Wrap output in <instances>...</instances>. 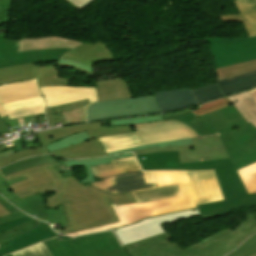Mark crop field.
Here are the masks:
<instances>
[{
    "label": "crop field",
    "instance_id": "8a807250",
    "mask_svg": "<svg viewBox=\"0 0 256 256\" xmlns=\"http://www.w3.org/2000/svg\"><path fill=\"white\" fill-rule=\"evenodd\" d=\"M143 170L215 169L225 200L199 205L198 209L161 215L113 230L131 256H223L256 233V214L182 249L163 225L199 215L208 219L226 212L256 205V194L248 195L230 159L180 164L178 151L136 156ZM144 158V160H142ZM136 243V245H135Z\"/></svg>",
    "mask_w": 256,
    "mask_h": 256
},
{
    "label": "crop field",
    "instance_id": "ac0d7876",
    "mask_svg": "<svg viewBox=\"0 0 256 256\" xmlns=\"http://www.w3.org/2000/svg\"><path fill=\"white\" fill-rule=\"evenodd\" d=\"M57 165L60 163L35 166L4 178L6 181L22 176L27 179L9 185L20 198L37 193L43 196L55 190L56 195L46 197V207L56 208L58 204H64L70 227L55 229L61 234L118 222L108 201L116 205L135 202L130 192L107 194L89 184L83 186L75 176L63 178L55 167Z\"/></svg>",
    "mask_w": 256,
    "mask_h": 256
},
{
    "label": "crop field",
    "instance_id": "34b2d1b8",
    "mask_svg": "<svg viewBox=\"0 0 256 256\" xmlns=\"http://www.w3.org/2000/svg\"><path fill=\"white\" fill-rule=\"evenodd\" d=\"M177 174L182 198L150 202L139 205L132 203L116 206L109 202L120 222L64 235L77 236L80 234L117 228L123 225L134 223L140 219L149 216L194 208L195 206L189 189L185 171H177Z\"/></svg>",
    "mask_w": 256,
    "mask_h": 256
},
{
    "label": "crop field",
    "instance_id": "412701ff",
    "mask_svg": "<svg viewBox=\"0 0 256 256\" xmlns=\"http://www.w3.org/2000/svg\"><path fill=\"white\" fill-rule=\"evenodd\" d=\"M17 52L45 48H73L61 58L94 67L98 62L114 60L112 52L102 42L83 43L57 36L15 40Z\"/></svg>",
    "mask_w": 256,
    "mask_h": 256
},
{
    "label": "crop field",
    "instance_id": "f4fd0767",
    "mask_svg": "<svg viewBox=\"0 0 256 256\" xmlns=\"http://www.w3.org/2000/svg\"><path fill=\"white\" fill-rule=\"evenodd\" d=\"M42 243L52 256H128L110 231Z\"/></svg>",
    "mask_w": 256,
    "mask_h": 256
},
{
    "label": "crop field",
    "instance_id": "dd49c442",
    "mask_svg": "<svg viewBox=\"0 0 256 256\" xmlns=\"http://www.w3.org/2000/svg\"><path fill=\"white\" fill-rule=\"evenodd\" d=\"M84 130L87 131L90 139L99 138L106 135L121 134L134 131L132 125L109 127L108 122H103L95 124L73 125L68 127H62L59 129L35 133L42 147L15 153L7 158H4L0 160V167L8 165L22 158L38 154H49V151L45 148L46 145L66 135L77 133Z\"/></svg>",
    "mask_w": 256,
    "mask_h": 256
},
{
    "label": "crop field",
    "instance_id": "e52e79f7",
    "mask_svg": "<svg viewBox=\"0 0 256 256\" xmlns=\"http://www.w3.org/2000/svg\"><path fill=\"white\" fill-rule=\"evenodd\" d=\"M133 126L135 132L106 136L100 138L99 141L102 142L106 140L136 135L139 143L107 150L105 152L137 147L150 143L179 140L196 136L195 132L192 129L175 120L136 124Z\"/></svg>",
    "mask_w": 256,
    "mask_h": 256
},
{
    "label": "crop field",
    "instance_id": "d8731c3e",
    "mask_svg": "<svg viewBox=\"0 0 256 256\" xmlns=\"http://www.w3.org/2000/svg\"><path fill=\"white\" fill-rule=\"evenodd\" d=\"M153 96L96 102L86 108V121L157 114Z\"/></svg>",
    "mask_w": 256,
    "mask_h": 256
},
{
    "label": "crop field",
    "instance_id": "5a996713",
    "mask_svg": "<svg viewBox=\"0 0 256 256\" xmlns=\"http://www.w3.org/2000/svg\"><path fill=\"white\" fill-rule=\"evenodd\" d=\"M205 41L210 44L216 68L256 59V37L206 38Z\"/></svg>",
    "mask_w": 256,
    "mask_h": 256
},
{
    "label": "crop field",
    "instance_id": "3316defc",
    "mask_svg": "<svg viewBox=\"0 0 256 256\" xmlns=\"http://www.w3.org/2000/svg\"><path fill=\"white\" fill-rule=\"evenodd\" d=\"M218 135L219 134L217 133L216 135L195 137L193 138L192 145L164 148L155 147L133 152L135 155H139L151 152L179 150L181 163L229 158Z\"/></svg>",
    "mask_w": 256,
    "mask_h": 256
},
{
    "label": "crop field",
    "instance_id": "28ad6ade",
    "mask_svg": "<svg viewBox=\"0 0 256 256\" xmlns=\"http://www.w3.org/2000/svg\"><path fill=\"white\" fill-rule=\"evenodd\" d=\"M236 170L256 162V128L250 123L220 136Z\"/></svg>",
    "mask_w": 256,
    "mask_h": 256
},
{
    "label": "crop field",
    "instance_id": "d1516ede",
    "mask_svg": "<svg viewBox=\"0 0 256 256\" xmlns=\"http://www.w3.org/2000/svg\"><path fill=\"white\" fill-rule=\"evenodd\" d=\"M25 180L24 177L6 182L0 174V193L24 212L35 215L37 218L49 222L59 223L62 227L69 226L66 220L63 205H59L57 209L45 208V197L39 194L36 196L20 199L17 197L7 185Z\"/></svg>",
    "mask_w": 256,
    "mask_h": 256
},
{
    "label": "crop field",
    "instance_id": "22f410ed",
    "mask_svg": "<svg viewBox=\"0 0 256 256\" xmlns=\"http://www.w3.org/2000/svg\"><path fill=\"white\" fill-rule=\"evenodd\" d=\"M55 236L48 224L34 220L0 235V256Z\"/></svg>",
    "mask_w": 256,
    "mask_h": 256
},
{
    "label": "crop field",
    "instance_id": "cbeb9de0",
    "mask_svg": "<svg viewBox=\"0 0 256 256\" xmlns=\"http://www.w3.org/2000/svg\"><path fill=\"white\" fill-rule=\"evenodd\" d=\"M70 49H45L16 53L14 40L0 39V68L25 63L57 61Z\"/></svg>",
    "mask_w": 256,
    "mask_h": 256
},
{
    "label": "crop field",
    "instance_id": "5142ce71",
    "mask_svg": "<svg viewBox=\"0 0 256 256\" xmlns=\"http://www.w3.org/2000/svg\"><path fill=\"white\" fill-rule=\"evenodd\" d=\"M134 156L132 153H125L121 155H115L105 158H97V159H86V160H62L63 163L66 166L74 165V166H84L88 176L84 177L80 181L83 185L96 181L89 166L107 163L109 160L117 159V158H124V157H131ZM62 161H56L53 156L49 155H42V156H36L28 159L21 160L17 163H14L8 167L0 168V172L3 174V176L10 174L12 172L22 170L28 167H32L35 165L40 164H46V163H53V162H62Z\"/></svg>",
    "mask_w": 256,
    "mask_h": 256
},
{
    "label": "crop field",
    "instance_id": "d9b57169",
    "mask_svg": "<svg viewBox=\"0 0 256 256\" xmlns=\"http://www.w3.org/2000/svg\"><path fill=\"white\" fill-rule=\"evenodd\" d=\"M195 206L222 200L214 170L186 171Z\"/></svg>",
    "mask_w": 256,
    "mask_h": 256
},
{
    "label": "crop field",
    "instance_id": "733c2abd",
    "mask_svg": "<svg viewBox=\"0 0 256 256\" xmlns=\"http://www.w3.org/2000/svg\"><path fill=\"white\" fill-rule=\"evenodd\" d=\"M47 108L65 103L89 99L90 103L97 101L96 87L60 86L40 88Z\"/></svg>",
    "mask_w": 256,
    "mask_h": 256
},
{
    "label": "crop field",
    "instance_id": "4a817a6b",
    "mask_svg": "<svg viewBox=\"0 0 256 256\" xmlns=\"http://www.w3.org/2000/svg\"><path fill=\"white\" fill-rule=\"evenodd\" d=\"M91 185L107 193L122 194L132 190L154 187L156 183L146 184L141 171H132L105 177Z\"/></svg>",
    "mask_w": 256,
    "mask_h": 256
},
{
    "label": "crop field",
    "instance_id": "bc2a9ffb",
    "mask_svg": "<svg viewBox=\"0 0 256 256\" xmlns=\"http://www.w3.org/2000/svg\"><path fill=\"white\" fill-rule=\"evenodd\" d=\"M155 98L161 113L197 105L189 88L158 92Z\"/></svg>",
    "mask_w": 256,
    "mask_h": 256
},
{
    "label": "crop field",
    "instance_id": "214f88e0",
    "mask_svg": "<svg viewBox=\"0 0 256 256\" xmlns=\"http://www.w3.org/2000/svg\"><path fill=\"white\" fill-rule=\"evenodd\" d=\"M203 116L220 135L246 124L233 105Z\"/></svg>",
    "mask_w": 256,
    "mask_h": 256
},
{
    "label": "crop field",
    "instance_id": "92a150f3",
    "mask_svg": "<svg viewBox=\"0 0 256 256\" xmlns=\"http://www.w3.org/2000/svg\"><path fill=\"white\" fill-rule=\"evenodd\" d=\"M41 95L35 81L0 87V117L6 116L1 104Z\"/></svg>",
    "mask_w": 256,
    "mask_h": 256
},
{
    "label": "crop field",
    "instance_id": "dafd665d",
    "mask_svg": "<svg viewBox=\"0 0 256 256\" xmlns=\"http://www.w3.org/2000/svg\"><path fill=\"white\" fill-rule=\"evenodd\" d=\"M51 154L73 158H88L106 156L103 148L97 139L89 140L74 146L59 149Z\"/></svg>",
    "mask_w": 256,
    "mask_h": 256
},
{
    "label": "crop field",
    "instance_id": "00972430",
    "mask_svg": "<svg viewBox=\"0 0 256 256\" xmlns=\"http://www.w3.org/2000/svg\"><path fill=\"white\" fill-rule=\"evenodd\" d=\"M98 101L131 98L124 78L97 82Z\"/></svg>",
    "mask_w": 256,
    "mask_h": 256
},
{
    "label": "crop field",
    "instance_id": "a9b5d70f",
    "mask_svg": "<svg viewBox=\"0 0 256 256\" xmlns=\"http://www.w3.org/2000/svg\"><path fill=\"white\" fill-rule=\"evenodd\" d=\"M137 204L181 197L178 184L131 192Z\"/></svg>",
    "mask_w": 256,
    "mask_h": 256
},
{
    "label": "crop field",
    "instance_id": "4177f3b9",
    "mask_svg": "<svg viewBox=\"0 0 256 256\" xmlns=\"http://www.w3.org/2000/svg\"><path fill=\"white\" fill-rule=\"evenodd\" d=\"M164 120L176 119L185 125L193 128L198 136L216 134L217 132L207 122V120L201 116L195 118L190 109L163 115Z\"/></svg>",
    "mask_w": 256,
    "mask_h": 256
},
{
    "label": "crop field",
    "instance_id": "730fd06b",
    "mask_svg": "<svg viewBox=\"0 0 256 256\" xmlns=\"http://www.w3.org/2000/svg\"><path fill=\"white\" fill-rule=\"evenodd\" d=\"M95 177L103 178L119 172L141 170L135 157L113 160L111 163L92 166Z\"/></svg>",
    "mask_w": 256,
    "mask_h": 256
},
{
    "label": "crop field",
    "instance_id": "eef30255",
    "mask_svg": "<svg viewBox=\"0 0 256 256\" xmlns=\"http://www.w3.org/2000/svg\"><path fill=\"white\" fill-rule=\"evenodd\" d=\"M223 96L256 86V71L239 75L216 83Z\"/></svg>",
    "mask_w": 256,
    "mask_h": 256
},
{
    "label": "crop field",
    "instance_id": "ae1a2a85",
    "mask_svg": "<svg viewBox=\"0 0 256 256\" xmlns=\"http://www.w3.org/2000/svg\"><path fill=\"white\" fill-rule=\"evenodd\" d=\"M35 79V65L25 64L0 69V85Z\"/></svg>",
    "mask_w": 256,
    "mask_h": 256
},
{
    "label": "crop field",
    "instance_id": "d3111659",
    "mask_svg": "<svg viewBox=\"0 0 256 256\" xmlns=\"http://www.w3.org/2000/svg\"><path fill=\"white\" fill-rule=\"evenodd\" d=\"M229 99L246 122H250L256 127V102L249 91L229 96ZM236 100L238 102L235 103Z\"/></svg>",
    "mask_w": 256,
    "mask_h": 256
},
{
    "label": "crop field",
    "instance_id": "750c4746",
    "mask_svg": "<svg viewBox=\"0 0 256 256\" xmlns=\"http://www.w3.org/2000/svg\"><path fill=\"white\" fill-rule=\"evenodd\" d=\"M60 70L54 68V66L37 67L36 76L39 87L42 86H59L69 85V80L58 77Z\"/></svg>",
    "mask_w": 256,
    "mask_h": 256
},
{
    "label": "crop field",
    "instance_id": "bd1437ed",
    "mask_svg": "<svg viewBox=\"0 0 256 256\" xmlns=\"http://www.w3.org/2000/svg\"><path fill=\"white\" fill-rule=\"evenodd\" d=\"M256 100V89L250 90ZM248 194L256 193V163L238 170Z\"/></svg>",
    "mask_w": 256,
    "mask_h": 256
},
{
    "label": "crop field",
    "instance_id": "1d83c4d3",
    "mask_svg": "<svg viewBox=\"0 0 256 256\" xmlns=\"http://www.w3.org/2000/svg\"><path fill=\"white\" fill-rule=\"evenodd\" d=\"M254 70H256V60L239 65L216 69L215 71L218 76V79L222 80Z\"/></svg>",
    "mask_w": 256,
    "mask_h": 256
},
{
    "label": "crop field",
    "instance_id": "120bbe31",
    "mask_svg": "<svg viewBox=\"0 0 256 256\" xmlns=\"http://www.w3.org/2000/svg\"><path fill=\"white\" fill-rule=\"evenodd\" d=\"M238 13L256 27V0H232Z\"/></svg>",
    "mask_w": 256,
    "mask_h": 256
},
{
    "label": "crop field",
    "instance_id": "d32e631a",
    "mask_svg": "<svg viewBox=\"0 0 256 256\" xmlns=\"http://www.w3.org/2000/svg\"><path fill=\"white\" fill-rule=\"evenodd\" d=\"M87 104H89L88 100L81 101V102L70 103V104H65V105H61V106H57V107H52V108L46 109L45 110V115L47 117L49 126L50 127L55 126L54 119H53L51 113L56 112V116H57L59 122L61 121L62 125H64L65 123H64L62 111L70 110V109H74V108L84 107Z\"/></svg>",
    "mask_w": 256,
    "mask_h": 256
},
{
    "label": "crop field",
    "instance_id": "5866460e",
    "mask_svg": "<svg viewBox=\"0 0 256 256\" xmlns=\"http://www.w3.org/2000/svg\"><path fill=\"white\" fill-rule=\"evenodd\" d=\"M191 91L194 94L198 104L215 99V98L222 97L215 83L207 86H203L200 88L192 89Z\"/></svg>",
    "mask_w": 256,
    "mask_h": 256
},
{
    "label": "crop field",
    "instance_id": "028f5c9d",
    "mask_svg": "<svg viewBox=\"0 0 256 256\" xmlns=\"http://www.w3.org/2000/svg\"><path fill=\"white\" fill-rule=\"evenodd\" d=\"M86 140H89V137H88L86 131H84V132H80L77 134L69 135L67 137H64V138L56 141V142H53L47 146V149L51 152L56 149L74 145V144H77V143H80V142H83Z\"/></svg>",
    "mask_w": 256,
    "mask_h": 256
},
{
    "label": "crop field",
    "instance_id": "e1f06a70",
    "mask_svg": "<svg viewBox=\"0 0 256 256\" xmlns=\"http://www.w3.org/2000/svg\"><path fill=\"white\" fill-rule=\"evenodd\" d=\"M256 253V234L249 237L240 247L227 256H250Z\"/></svg>",
    "mask_w": 256,
    "mask_h": 256
},
{
    "label": "crop field",
    "instance_id": "0bd39190",
    "mask_svg": "<svg viewBox=\"0 0 256 256\" xmlns=\"http://www.w3.org/2000/svg\"><path fill=\"white\" fill-rule=\"evenodd\" d=\"M228 105H231V102L229 101L228 97H226L210 103L203 104L199 109L193 110V112L196 115V117H198L202 114L213 112L219 108H222Z\"/></svg>",
    "mask_w": 256,
    "mask_h": 256
},
{
    "label": "crop field",
    "instance_id": "b80d0937",
    "mask_svg": "<svg viewBox=\"0 0 256 256\" xmlns=\"http://www.w3.org/2000/svg\"><path fill=\"white\" fill-rule=\"evenodd\" d=\"M44 107H45V104L7 111L6 114L9 117V119L31 116V115H38L43 113Z\"/></svg>",
    "mask_w": 256,
    "mask_h": 256
},
{
    "label": "crop field",
    "instance_id": "c035e120",
    "mask_svg": "<svg viewBox=\"0 0 256 256\" xmlns=\"http://www.w3.org/2000/svg\"><path fill=\"white\" fill-rule=\"evenodd\" d=\"M13 256H51L42 243L12 253Z\"/></svg>",
    "mask_w": 256,
    "mask_h": 256
},
{
    "label": "crop field",
    "instance_id": "c21b1889",
    "mask_svg": "<svg viewBox=\"0 0 256 256\" xmlns=\"http://www.w3.org/2000/svg\"><path fill=\"white\" fill-rule=\"evenodd\" d=\"M157 186L178 183L176 171L154 172Z\"/></svg>",
    "mask_w": 256,
    "mask_h": 256
},
{
    "label": "crop field",
    "instance_id": "03da06ac",
    "mask_svg": "<svg viewBox=\"0 0 256 256\" xmlns=\"http://www.w3.org/2000/svg\"><path fill=\"white\" fill-rule=\"evenodd\" d=\"M191 142H192V138L185 139V140H179V141L150 144V145H145V146H141V147H137V148H131V149L110 152V153H107V155L122 153V152H126V151H133V150H138V149H144V148H150V147H155V146L164 147V146L186 145V144H191Z\"/></svg>",
    "mask_w": 256,
    "mask_h": 256
},
{
    "label": "crop field",
    "instance_id": "b54c1fbb",
    "mask_svg": "<svg viewBox=\"0 0 256 256\" xmlns=\"http://www.w3.org/2000/svg\"><path fill=\"white\" fill-rule=\"evenodd\" d=\"M44 101L42 99V96L32 98V99H27L23 101H18V102H13L9 104H4L2 105L4 110H12V109H17V108H22V107H27V106H32V105H38V104H43Z\"/></svg>",
    "mask_w": 256,
    "mask_h": 256
},
{
    "label": "crop field",
    "instance_id": "5d738f31",
    "mask_svg": "<svg viewBox=\"0 0 256 256\" xmlns=\"http://www.w3.org/2000/svg\"><path fill=\"white\" fill-rule=\"evenodd\" d=\"M66 124L84 122V108L63 112Z\"/></svg>",
    "mask_w": 256,
    "mask_h": 256
},
{
    "label": "crop field",
    "instance_id": "d23c7cc5",
    "mask_svg": "<svg viewBox=\"0 0 256 256\" xmlns=\"http://www.w3.org/2000/svg\"><path fill=\"white\" fill-rule=\"evenodd\" d=\"M138 142L136 137H127V138H122V139H116V140H111L107 142H102L101 145L103 146L104 150L119 147V146H124L132 143Z\"/></svg>",
    "mask_w": 256,
    "mask_h": 256
},
{
    "label": "crop field",
    "instance_id": "425ffa30",
    "mask_svg": "<svg viewBox=\"0 0 256 256\" xmlns=\"http://www.w3.org/2000/svg\"><path fill=\"white\" fill-rule=\"evenodd\" d=\"M161 116H152V117H143V118H135V119H125V120H118V121H109L110 126L113 125H121V124H136V123H143V122H151V121H160Z\"/></svg>",
    "mask_w": 256,
    "mask_h": 256
},
{
    "label": "crop field",
    "instance_id": "25e5ab78",
    "mask_svg": "<svg viewBox=\"0 0 256 256\" xmlns=\"http://www.w3.org/2000/svg\"><path fill=\"white\" fill-rule=\"evenodd\" d=\"M0 203L2 204V206L4 208H6L8 211H10L12 213L8 216H5V217L1 218V220L3 222L9 221V220H12V219H16V218H20V217H23V216H27V215L21 213L20 211H18L17 209H15L14 206L11 205L10 203H8L1 195H0Z\"/></svg>",
    "mask_w": 256,
    "mask_h": 256
},
{
    "label": "crop field",
    "instance_id": "73cf0c24",
    "mask_svg": "<svg viewBox=\"0 0 256 256\" xmlns=\"http://www.w3.org/2000/svg\"><path fill=\"white\" fill-rule=\"evenodd\" d=\"M12 1L13 0H0V26L9 22Z\"/></svg>",
    "mask_w": 256,
    "mask_h": 256
},
{
    "label": "crop field",
    "instance_id": "89e229c0",
    "mask_svg": "<svg viewBox=\"0 0 256 256\" xmlns=\"http://www.w3.org/2000/svg\"><path fill=\"white\" fill-rule=\"evenodd\" d=\"M32 220H34V218L27 216V217H23L20 219L2 223V224H0V234H1V232L5 231V230H8L12 227L24 224V223L32 221Z\"/></svg>",
    "mask_w": 256,
    "mask_h": 256
},
{
    "label": "crop field",
    "instance_id": "1f2cbd36",
    "mask_svg": "<svg viewBox=\"0 0 256 256\" xmlns=\"http://www.w3.org/2000/svg\"><path fill=\"white\" fill-rule=\"evenodd\" d=\"M64 1H66L68 4H70L71 6L81 11L90 3H92L94 0H64Z\"/></svg>",
    "mask_w": 256,
    "mask_h": 256
},
{
    "label": "crop field",
    "instance_id": "dbb93151",
    "mask_svg": "<svg viewBox=\"0 0 256 256\" xmlns=\"http://www.w3.org/2000/svg\"><path fill=\"white\" fill-rule=\"evenodd\" d=\"M221 20L224 22H246L238 15H223L220 16Z\"/></svg>",
    "mask_w": 256,
    "mask_h": 256
},
{
    "label": "crop field",
    "instance_id": "0fb4a251",
    "mask_svg": "<svg viewBox=\"0 0 256 256\" xmlns=\"http://www.w3.org/2000/svg\"><path fill=\"white\" fill-rule=\"evenodd\" d=\"M246 32H247V37H252L256 36V29L249 23H242Z\"/></svg>",
    "mask_w": 256,
    "mask_h": 256
},
{
    "label": "crop field",
    "instance_id": "1d79db26",
    "mask_svg": "<svg viewBox=\"0 0 256 256\" xmlns=\"http://www.w3.org/2000/svg\"><path fill=\"white\" fill-rule=\"evenodd\" d=\"M143 175L147 183L156 182L153 172H143Z\"/></svg>",
    "mask_w": 256,
    "mask_h": 256
},
{
    "label": "crop field",
    "instance_id": "9d1cf04e",
    "mask_svg": "<svg viewBox=\"0 0 256 256\" xmlns=\"http://www.w3.org/2000/svg\"><path fill=\"white\" fill-rule=\"evenodd\" d=\"M59 61H60V62H65V63H69V64L78 65V66H80V67H83V68H85V69H88V70H91V71L94 72L93 68L88 67V66H86V65H83V64H81V63H77V62H73V61H69V60H65V59H61V60H59Z\"/></svg>",
    "mask_w": 256,
    "mask_h": 256
},
{
    "label": "crop field",
    "instance_id": "447ae74e",
    "mask_svg": "<svg viewBox=\"0 0 256 256\" xmlns=\"http://www.w3.org/2000/svg\"><path fill=\"white\" fill-rule=\"evenodd\" d=\"M56 65H59V66H70V67H75V68H77V69H79V70H81V71H83V72H85V73H87V74H90V75H92V76H94V77H95V75H94V73H93V72L88 71V70H85V69L80 68V67H78V66L68 65V64H64V63H60V62H57V63H56ZM75 68H74V69H75Z\"/></svg>",
    "mask_w": 256,
    "mask_h": 256
},
{
    "label": "crop field",
    "instance_id": "0765c3eb",
    "mask_svg": "<svg viewBox=\"0 0 256 256\" xmlns=\"http://www.w3.org/2000/svg\"><path fill=\"white\" fill-rule=\"evenodd\" d=\"M16 151H15V149L13 148V149H10V150H7V151H4V152H1L0 153V159L1 158H4V157H6V156H9V155H11V154H13V153H15Z\"/></svg>",
    "mask_w": 256,
    "mask_h": 256
},
{
    "label": "crop field",
    "instance_id": "db79e9e6",
    "mask_svg": "<svg viewBox=\"0 0 256 256\" xmlns=\"http://www.w3.org/2000/svg\"><path fill=\"white\" fill-rule=\"evenodd\" d=\"M8 214H10V212H8L6 209H4L0 204V217H3Z\"/></svg>",
    "mask_w": 256,
    "mask_h": 256
},
{
    "label": "crop field",
    "instance_id": "7b73153f",
    "mask_svg": "<svg viewBox=\"0 0 256 256\" xmlns=\"http://www.w3.org/2000/svg\"><path fill=\"white\" fill-rule=\"evenodd\" d=\"M6 131H7V129L4 125V123L2 122L1 118H0V133L6 132Z\"/></svg>",
    "mask_w": 256,
    "mask_h": 256
},
{
    "label": "crop field",
    "instance_id": "78b8030e",
    "mask_svg": "<svg viewBox=\"0 0 256 256\" xmlns=\"http://www.w3.org/2000/svg\"><path fill=\"white\" fill-rule=\"evenodd\" d=\"M64 177L66 176H70V175H74L73 172H64V173H61Z\"/></svg>",
    "mask_w": 256,
    "mask_h": 256
},
{
    "label": "crop field",
    "instance_id": "0f1d7ab4",
    "mask_svg": "<svg viewBox=\"0 0 256 256\" xmlns=\"http://www.w3.org/2000/svg\"><path fill=\"white\" fill-rule=\"evenodd\" d=\"M7 150V148L3 145V143L0 144V152Z\"/></svg>",
    "mask_w": 256,
    "mask_h": 256
},
{
    "label": "crop field",
    "instance_id": "e1d0b9f6",
    "mask_svg": "<svg viewBox=\"0 0 256 256\" xmlns=\"http://www.w3.org/2000/svg\"><path fill=\"white\" fill-rule=\"evenodd\" d=\"M5 256H12V254H9V255H5Z\"/></svg>",
    "mask_w": 256,
    "mask_h": 256
},
{
    "label": "crop field",
    "instance_id": "ae633e8c",
    "mask_svg": "<svg viewBox=\"0 0 256 256\" xmlns=\"http://www.w3.org/2000/svg\"><path fill=\"white\" fill-rule=\"evenodd\" d=\"M252 256H256V254L252 255Z\"/></svg>",
    "mask_w": 256,
    "mask_h": 256
},
{
    "label": "crop field",
    "instance_id": "d14b1444",
    "mask_svg": "<svg viewBox=\"0 0 256 256\" xmlns=\"http://www.w3.org/2000/svg\"><path fill=\"white\" fill-rule=\"evenodd\" d=\"M0 223H2V221L0 220Z\"/></svg>",
    "mask_w": 256,
    "mask_h": 256
}]
</instances>
